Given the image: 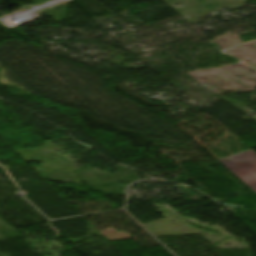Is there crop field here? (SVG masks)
<instances>
[{"instance_id": "1", "label": "crop field", "mask_w": 256, "mask_h": 256, "mask_svg": "<svg viewBox=\"0 0 256 256\" xmlns=\"http://www.w3.org/2000/svg\"><path fill=\"white\" fill-rule=\"evenodd\" d=\"M219 162L256 192V153L254 151L249 149Z\"/></svg>"}]
</instances>
